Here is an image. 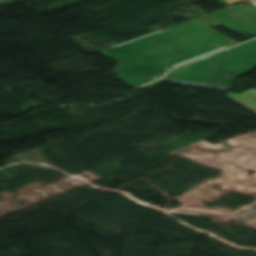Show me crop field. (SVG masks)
Listing matches in <instances>:
<instances>
[{"label":"crop field","instance_id":"crop-field-1","mask_svg":"<svg viewBox=\"0 0 256 256\" xmlns=\"http://www.w3.org/2000/svg\"><path fill=\"white\" fill-rule=\"evenodd\" d=\"M217 1L228 8L98 53L120 60L113 72L152 78L170 66L237 43L210 27L222 25L246 39L256 36V7L231 6L243 0Z\"/></svg>","mask_w":256,"mask_h":256},{"label":"crop field","instance_id":"crop-field-2","mask_svg":"<svg viewBox=\"0 0 256 256\" xmlns=\"http://www.w3.org/2000/svg\"><path fill=\"white\" fill-rule=\"evenodd\" d=\"M256 68V40L179 67L161 80L149 84L152 88L166 80L230 90L238 75Z\"/></svg>","mask_w":256,"mask_h":256},{"label":"crop field","instance_id":"crop-field-3","mask_svg":"<svg viewBox=\"0 0 256 256\" xmlns=\"http://www.w3.org/2000/svg\"><path fill=\"white\" fill-rule=\"evenodd\" d=\"M228 98L245 107L246 109L256 113V89L253 88L241 94L228 92L226 94Z\"/></svg>","mask_w":256,"mask_h":256},{"label":"crop field","instance_id":"crop-field-4","mask_svg":"<svg viewBox=\"0 0 256 256\" xmlns=\"http://www.w3.org/2000/svg\"><path fill=\"white\" fill-rule=\"evenodd\" d=\"M114 75L117 76L120 80H122L125 84L132 87H137L144 83L151 82L154 80V79L129 76V75H123V74H117V73H114Z\"/></svg>","mask_w":256,"mask_h":256}]
</instances>
